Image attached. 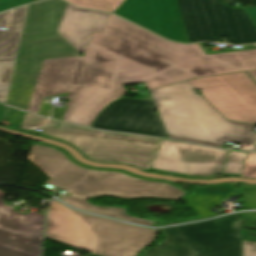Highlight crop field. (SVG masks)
<instances>
[{
  "label": "crop field",
  "instance_id": "3",
  "mask_svg": "<svg viewBox=\"0 0 256 256\" xmlns=\"http://www.w3.org/2000/svg\"><path fill=\"white\" fill-rule=\"evenodd\" d=\"M191 89L187 80L150 91L171 138L220 148L224 141L242 143L239 149L254 148L255 125L226 121Z\"/></svg>",
  "mask_w": 256,
  "mask_h": 256
},
{
  "label": "crop field",
  "instance_id": "15",
  "mask_svg": "<svg viewBox=\"0 0 256 256\" xmlns=\"http://www.w3.org/2000/svg\"><path fill=\"white\" fill-rule=\"evenodd\" d=\"M107 15L78 9L67 3L57 32L84 55L92 31L103 32Z\"/></svg>",
  "mask_w": 256,
  "mask_h": 256
},
{
  "label": "crop field",
  "instance_id": "29",
  "mask_svg": "<svg viewBox=\"0 0 256 256\" xmlns=\"http://www.w3.org/2000/svg\"><path fill=\"white\" fill-rule=\"evenodd\" d=\"M256 80V71L248 72Z\"/></svg>",
  "mask_w": 256,
  "mask_h": 256
},
{
  "label": "crop field",
  "instance_id": "23",
  "mask_svg": "<svg viewBox=\"0 0 256 256\" xmlns=\"http://www.w3.org/2000/svg\"><path fill=\"white\" fill-rule=\"evenodd\" d=\"M241 177L256 178V153L247 155Z\"/></svg>",
  "mask_w": 256,
  "mask_h": 256
},
{
  "label": "crop field",
  "instance_id": "1",
  "mask_svg": "<svg viewBox=\"0 0 256 256\" xmlns=\"http://www.w3.org/2000/svg\"><path fill=\"white\" fill-rule=\"evenodd\" d=\"M256 70V50L206 56L199 44L168 42L121 18L108 15L103 34L92 33L85 56L44 60L29 112L43 97L72 91L63 120L89 126L124 84L149 89L186 79Z\"/></svg>",
  "mask_w": 256,
  "mask_h": 256
},
{
  "label": "crop field",
  "instance_id": "32",
  "mask_svg": "<svg viewBox=\"0 0 256 256\" xmlns=\"http://www.w3.org/2000/svg\"><path fill=\"white\" fill-rule=\"evenodd\" d=\"M138 219V218H137ZM141 220H143V219H141ZM147 221V220H146ZM151 222V221H150Z\"/></svg>",
  "mask_w": 256,
  "mask_h": 256
},
{
  "label": "crop field",
  "instance_id": "6",
  "mask_svg": "<svg viewBox=\"0 0 256 256\" xmlns=\"http://www.w3.org/2000/svg\"><path fill=\"white\" fill-rule=\"evenodd\" d=\"M165 241L143 256H241L239 214L165 229Z\"/></svg>",
  "mask_w": 256,
  "mask_h": 256
},
{
  "label": "crop field",
  "instance_id": "12",
  "mask_svg": "<svg viewBox=\"0 0 256 256\" xmlns=\"http://www.w3.org/2000/svg\"><path fill=\"white\" fill-rule=\"evenodd\" d=\"M0 190V256H40L44 216L13 211L2 203Z\"/></svg>",
  "mask_w": 256,
  "mask_h": 256
},
{
  "label": "crop field",
  "instance_id": "21",
  "mask_svg": "<svg viewBox=\"0 0 256 256\" xmlns=\"http://www.w3.org/2000/svg\"><path fill=\"white\" fill-rule=\"evenodd\" d=\"M34 144L45 145V146L57 148V149L61 150V151L63 152V154H64L65 156H67L70 160H72L74 163H76V164H78V165H80V166H82V167L92 168V169H96V170H103V171H118V172H122V173H125V174H127V175H130V176L136 177V178L147 179V180H154V181H160V182H165V183L172 184V182H170V181H164V180H157V179L139 177V176H136V175H134V174H132V173H129V172H127V171H124V170H113V169H105V168H97V167L86 166V165H83V164L77 162L75 159H73V158L69 155V153H68L66 150H64V149H62V148H58V147H55V146H52V145H49V144H46V143H34Z\"/></svg>",
  "mask_w": 256,
  "mask_h": 256
},
{
  "label": "crop field",
  "instance_id": "11",
  "mask_svg": "<svg viewBox=\"0 0 256 256\" xmlns=\"http://www.w3.org/2000/svg\"><path fill=\"white\" fill-rule=\"evenodd\" d=\"M151 97L120 98L108 105L96 118L92 127L170 138Z\"/></svg>",
  "mask_w": 256,
  "mask_h": 256
},
{
  "label": "crop field",
  "instance_id": "18",
  "mask_svg": "<svg viewBox=\"0 0 256 256\" xmlns=\"http://www.w3.org/2000/svg\"><path fill=\"white\" fill-rule=\"evenodd\" d=\"M246 155L247 153L244 152L231 151L223 174H226L225 176H240Z\"/></svg>",
  "mask_w": 256,
  "mask_h": 256
},
{
  "label": "crop field",
  "instance_id": "7",
  "mask_svg": "<svg viewBox=\"0 0 256 256\" xmlns=\"http://www.w3.org/2000/svg\"><path fill=\"white\" fill-rule=\"evenodd\" d=\"M57 140L95 161L122 163L150 170L162 140L130 134L102 132L62 124Z\"/></svg>",
  "mask_w": 256,
  "mask_h": 256
},
{
  "label": "crop field",
  "instance_id": "10",
  "mask_svg": "<svg viewBox=\"0 0 256 256\" xmlns=\"http://www.w3.org/2000/svg\"><path fill=\"white\" fill-rule=\"evenodd\" d=\"M229 151L163 140L150 171L185 177L211 178L221 173Z\"/></svg>",
  "mask_w": 256,
  "mask_h": 256
},
{
  "label": "crop field",
  "instance_id": "20",
  "mask_svg": "<svg viewBox=\"0 0 256 256\" xmlns=\"http://www.w3.org/2000/svg\"><path fill=\"white\" fill-rule=\"evenodd\" d=\"M240 188L241 194L245 196L243 199L244 206L247 208L256 209V185H241Z\"/></svg>",
  "mask_w": 256,
  "mask_h": 256
},
{
  "label": "crop field",
  "instance_id": "9",
  "mask_svg": "<svg viewBox=\"0 0 256 256\" xmlns=\"http://www.w3.org/2000/svg\"><path fill=\"white\" fill-rule=\"evenodd\" d=\"M189 81L227 119L256 123V83L246 72Z\"/></svg>",
  "mask_w": 256,
  "mask_h": 256
},
{
  "label": "crop field",
  "instance_id": "2",
  "mask_svg": "<svg viewBox=\"0 0 256 256\" xmlns=\"http://www.w3.org/2000/svg\"><path fill=\"white\" fill-rule=\"evenodd\" d=\"M30 161L51 179L47 183L72 195L61 198L81 210L104 214L144 225L153 226L132 218L123 208L92 205L87 199L95 196L114 195L126 199L160 197L180 199L184 192L173 185L140 180L118 172H102L82 168L66 158L61 151L34 145Z\"/></svg>",
  "mask_w": 256,
  "mask_h": 256
},
{
  "label": "crop field",
  "instance_id": "28",
  "mask_svg": "<svg viewBox=\"0 0 256 256\" xmlns=\"http://www.w3.org/2000/svg\"><path fill=\"white\" fill-rule=\"evenodd\" d=\"M5 108H6L5 105L0 104V124H1L2 117H3L4 112H5Z\"/></svg>",
  "mask_w": 256,
  "mask_h": 256
},
{
  "label": "crop field",
  "instance_id": "14",
  "mask_svg": "<svg viewBox=\"0 0 256 256\" xmlns=\"http://www.w3.org/2000/svg\"><path fill=\"white\" fill-rule=\"evenodd\" d=\"M28 7L29 5L14 10L8 31L0 29V102L7 101ZM10 13L11 11L0 14V26L8 24Z\"/></svg>",
  "mask_w": 256,
  "mask_h": 256
},
{
  "label": "crop field",
  "instance_id": "26",
  "mask_svg": "<svg viewBox=\"0 0 256 256\" xmlns=\"http://www.w3.org/2000/svg\"><path fill=\"white\" fill-rule=\"evenodd\" d=\"M31 0H0V11L30 3Z\"/></svg>",
  "mask_w": 256,
  "mask_h": 256
},
{
  "label": "crop field",
  "instance_id": "4",
  "mask_svg": "<svg viewBox=\"0 0 256 256\" xmlns=\"http://www.w3.org/2000/svg\"><path fill=\"white\" fill-rule=\"evenodd\" d=\"M158 231L83 214L51 201L46 236L106 256H135Z\"/></svg>",
  "mask_w": 256,
  "mask_h": 256
},
{
  "label": "crop field",
  "instance_id": "22",
  "mask_svg": "<svg viewBox=\"0 0 256 256\" xmlns=\"http://www.w3.org/2000/svg\"><path fill=\"white\" fill-rule=\"evenodd\" d=\"M25 114V112L9 107L5 120H9L11 122L13 129L20 130L23 125Z\"/></svg>",
  "mask_w": 256,
  "mask_h": 256
},
{
  "label": "crop field",
  "instance_id": "30",
  "mask_svg": "<svg viewBox=\"0 0 256 256\" xmlns=\"http://www.w3.org/2000/svg\"><path fill=\"white\" fill-rule=\"evenodd\" d=\"M87 256H99V255H95V254H89V255H87Z\"/></svg>",
  "mask_w": 256,
  "mask_h": 256
},
{
  "label": "crop field",
  "instance_id": "31",
  "mask_svg": "<svg viewBox=\"0 0 256 256\" xmlns=\"http://www.w3.org/2000/svg\"><path fill=\"white\" fill-rule=\"evenodd\" d=\"M33 1H37V0H32L31 2H33Z\"/></svg>",
  "mask_w": 256,
  "mask_h": 256
},
{
  "label": "crop field",
  "instance_id": "24",
  "mask_svg": "<svg viewBox=\"0 0 256 256\" xmlns=\"http://www.w3.org/2000/svg\"><path fill=\"white\" fill-rule=\"evenodd\" d=\"M61 124H62L61 122L49 119L46 122V124L43 126L44 130L41 132L43 137L56 139L58 132L60 130Z\"/></svg>",
  "mask_w": 256,
  "mask_h": 256
},
{
  "label": "crop field",
  "instance_id": "27",
  "mask_svg": "<svg viewBox=\"0 0 256 256\" xmlns=\"http://www.w3.org/2000/svg\"><path fill=\"white\" fill-rule=\"evenodd\" d=\"M254 22L256 23V7L255 8H247Z\"/></svg>",
  "mask_w": 256,
  "mask_h": 256
},
{
  "label": "crop field",
  "instance_id": "16",
  "mask_svg": "<svg viewBox=\"0 0 256 256\" xmlns=\"http://www.w3.org/2000/svg\"><path fill=\"white\" fill-rule=\"evenodd\" d=\"M236 184L237 183L204 185V187H197L194 194L187 197V204L190 208L197 210L198 217L172 223H182L216 216V214L209 208L222 206L220 203L226 201L227 198L237 196L235 190ZM172 223H166L163 225Z\"/></svg>",
  "mask_w": 256,
  "mask_h": 256
},
{
  "label": "crop field",
  "instance_id": "8",
  "mask_svg": "<svg viewBox=\"0 0 256 256\" xmlns=\"http://www.w3.org/2000/svg\"><path fill=\"white\" fill-rule=\"evenodd\" d=\"M190 42L222 41L230 44L256 42V28L244 8L232 9L221 0H177Z\"/></svg>",
  "mask_w": 256,
  "mask_h": 256
},
{
  "label": "crop field",
  "instance_id": "25",
  "mask_svg": "<svg viewBox=\"0 0 256 256\" xmlns=\"http://www.w3.org/2000/svg\"><path fill=\"white\" fill-rule=\"evenodd\" d=\"M46 120H47L46 118H42V117L27 113L25 122H24V126L21 131L27 133L31 129L42 125Z\"/></svg>",
  "mask_w": 256,
  "mask_h": 256
},
{
  "label": "crop field",
  "instance_id": "13",
  "mask_svg": "<svg viewBox=\"0 0 256 256\" xmlns=\"http://www.w3.org/2000/svg\"><path fill=\"white\" fill-rule=\"evenodd\" d=\"M114 13L167 39L190 43L176 0H125Z\"/></svg>",
  "mask_w": 256,
  "mask_h": 256
},
{
  "label": "crop field",
  "instance_id": "33",
  "mask_svg": "<svg viewBox=\"0 0 256 256\" xmlns=\"http://www.w3.org/2000/svg\"><path fill=\"white\" fill-rule=\"evenodd\" d=\"M256 151V150H255Z\"/></svg>",
  "mask_w": 256,
  "mask_h": 256
},
{
  "label": "crop field",
  "instance_id": "19",
  "mask_svg": "<svg viewBox=\"0 0 256 256\" xmlns=\"http://www.w3.org/2000/svg\"><path fill=\"white\" fill-rule=\"evenodd\" d=\"M242 256H256V232L242 230Z\"/></svg>",
  "mask_w": 256,
  "mask_h": 256
},
{
  "label": "crop field",
  "instance_id": "17",
  "mask_svg": "<svg viewBox=\"0 0 256 256\" xmlns=\"http://www.w3.org/2000/svg\"><path fill=\"white\" fill-rule=\"evenodd\" d=\"M77 6L114 12L124 0H67Z\"/></svg>",
  "mask_w": 256,
  "mask_h": 256
},
{
  "label": "crop field",
  "instance_id": "5",
  "mask_svg": "<svg viewBox=\"0 0 256 256\" xmlns=\"http://www.w3.org/2000/svg\"><path fill=\"white\" fill-rule=\"evenodd\" d=\"M65 4L47 0L30 5L8 104L28 110L43 59L82 55L56 32Z\"/></svg>",
  "mask_w": 256,
  "mask_h": 256
}]
</instances>
